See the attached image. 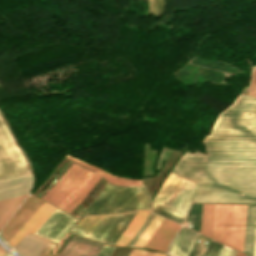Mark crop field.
<instances>
[{
    "label": "crop field",
    "instance_id": "8a807250",
    "mask_svg": "<svg viewBox=\"0 0 256 256\" xmlns=\"http://www.w3.org/2000/svg\"><path fill=\"white\" fill-rule=\"evenodd\" d=\"M151 202L141 187H120L107 183L94 201L77 217L84 214H115L136 209L150 211Z\"/></svg>",
    "mask_w": 256,
    "mask_h": 256
},
{
    "label": "crop field",
    "instance_id": "ac0d7876",
    "mask_svg": "<svg viewBox=\"0 0 256 256\" xmlns=\"http://www.w3.org/2000/svg\"><path fill=\"white\" fill-rule=\"evenodd\" d=\"M247 205L216 204L212 238L242 252Z\"/></svg>",
    "mask_w": 256,
    "mask_h": 256
},
{
    "label": "crop field",
    "instance_id": "34b2d1b8",
    "mask_svg": "<svg viewBox=\"0 0 256 256\" xmlns=\"http://www.w3.org/2000/svg\"><path fill=\"white\" fill-rule=\"evenodd\" d=\"M197 185L170 172L157 192L154 202L185 216Z\"/></svg>",
    "mask_w": 256,
    "mask_h": 256
},
{
    "label": "crop field",
    "instance_id": "412701ff",
    "mask_svg": "<svg viewBox=\"0 0 256 256\" xmlns=\"http://www.w3.org/2000/svg\"><path fill=\"white\" fill-rule=\"evenodd\" d=\"M29 174L25 161L0 117V181Z\"/></svg>",
    "mask_w": 256,
    "mask_h": 256
},
{
    "label": "crop field",
    "instance_id": "f4fd0767",
    "mask_svg": "<svg viewBox=\"0 0 256 256\" xmlns=\"http://www.w3.org/2000/svg\"><path fill=\"white\" fill-rule=\"evenodd\" d=\"M75 164L73 163L68 168V170L55 183V185L42 197V199L59 206L74 189H77L81 186V184L89 176L91 171L84 169L82 167H79L80 165L77 166L78 164L77 165ZM74 165L75 167L73 169L72 167ZM71 168L73 170L62 181V179L66 176V174L71 170Z\"/></svg>",
    "mask_w": 256,
    "mask_h": 256
},
{
    "label": "crop field",
    "instance_id": "dd49c442",
    "mask_svg": "<svg viewBox=\"0 0 256 256\" xmlns=\"http://www.w3.org/2000/svg\"><path fill=\"white\" fill-rule=\"evenodd\" d=\"M76 221L77 219L56 209L35 234L58 243Z\"/></svg>",
    "mask_w": 256,
    "mask_h": 256
},
{
    "label": "crop field",
    "instance_id": "e52e79f7",
    "mask_svg": "<svg viewBox=\"0 0 256 256\" xmlns=\"http://www.w3.org/2000/svg\"><path fill=\"white\" fill-rule=\"evenodd\" d=\"M44 201L31 195L24 201L16 213L11 217L1 230V234L8 242L30 216L39 208ZM1 235V236H2Z\"/></svg>",
    "mask_w": 256,
    "mask_h": 256
},
{
    "label": "crop field",
    "instance_id": "d8731c3e",
    "mask_svg": "<svg viewBox=\"0 0 256 256\" xmlns=\"http://www.w3.org/2000/svg\"><path fill=\"white\" fill-rule=\"evenodd\" d=\"M179 227V225L164 219L145 247L166 252L171 239Z\"/></svg>",
    "mask_w": 256,
    "mask_h": 256
},
{
    "label": "crop field",
    "instance_id": "5a996713",
    "mask_svg": "<svg viewBox=\"0 0 256 256\" xmlns=\"http://www.w3.org/2000/svg\"><path fill=\"white\" fill-rule=\"evenodd\" d=\"M32 187V174L0 182V200L27 194Z\"/></svg>",
    "mask_w": 256,
    "mask_h": 256
},
{
    "label": "crop field",
    "instance_id": "3316defc",
    "mask_svg": "<svg viewBox=\"0 0 256 256\" xmlns=\"http://www.w3.org/2000/svg\"><path fill=\"white\" fill-rule=\"evenodd\" d=\"M55 209L44 202L8 243L13 247L27 231L34 233Z\"/></svg>",
    "mask_w": 256,
    "mask_h": 256
},
{
    "label": "crop field",
    "instance_id": "28ad6ade",
    "mask_svg": "<svg viewBox=\"0 0 256 256\" xmlns=\"http://www.w3.org/2000/svg\"><path fill=\"white\" fill-rule=\"evenodd\" d=\"M197 236L198 233L183 227L173 240L169 252L175 256H188Z\"/></svg>",
    "mask_w": 256,
    "mask_h": 256
},
{
    "label": "crop field",
    "instance_id": "d1516ede",
    "mask_svg": "<svg viewBox=\"0 0 256 256\" xmlns=\"http://www.w3.org/2000/svg\"><path fill=\"white\" fill-rule=\"evenodd\" d=\"M121 216L122 215L106 216L89 235L85 234L75 226L73 227L71 232H74L86 238L103 242V240L106 238L110 230L113 228V226L116 224Z\"/></svg>",
    "mask_w": 256,
    "mask_h": 256
},
{
    "label": "crop field",
    "instance_id": "22f410ed",
    "mask_svg": "<svg viewBox=\"0 0 256 256\" xmlns=\"http://www.w3.org/2000/svg\"><path fill=\"white\" fill-rule=\"evenodd\" d=\"M46 242L47 240L28 233L16 246V250L24 256H39Z\"/></svg>",
    "mask_w": 256,
    "mask_h": 256
},
{
    "label": "crop field",
    "instance_id": "cbeb9de0",
    "mask_svg": "<svg viewBox=\"0 0 256 256\" xmlns=\"http://www.w3.org/2000/svg\"><path fill=\"white\" fill-rule=\"evenodd\" d=\"M148 215H149V212L139 211V213L136 215V217L133 219V221L130 223V225L127 227V229L124 231V233L118 239V241L115 243V245L126 246L127 243L134 236V234L141 227V225L143 224V222L145 221V219L147 218Z\"/></svg>",
    "mask_w": 256,
    "mask_h": 256
},
{
    "label": "crop field",
    "instance_id": "5142ce71",
    "mask_svg": "<svg viewBox=\"0 0 256 256\" xmlns=\"http://www.w3.org/2000/svg\"><path fill=\"white\" fill-rule=\"evenodd\" d=\"M27 195L0 201V228L4 225V223L13 214Z\"/></svg>",
    "mask_w": 256,
    "mask_h": 256
},
{
    "label": "crop field",
    "instance_id": "d9b57169",
    "mask_svg": "<svg viewBox=\"0 0 256 256\" xmlns=\"http://www.w3.org/2000/svg\"><path fill=\"white\" fill-rule=\"evenodd\" d=\"M138 213V211L125 214L122 216V218L117 222V224L114 226V228L111 230L107 238L104 240L105 243H109L114 245V243L117 241V239L120 237V235L123 233V231L126 229V227L129 225V223L132 221V219L135 217V215Z\"/></svg>",
    "mask_w": 256,
    "mask_h": 256
},
{
    "label": "crop field",
    "instance_id": "733c2abd",
    "mask_svg": "<svg viewBox=\"0 0 256 256\" xmlns=\"http://www.w3.org/2000/svg\"><path fill=\"white\" fill-rule=\"evenodd\" d=\"M100 178L99 175L94 173L80 191L62 209L70 212L86 196Z\"/></svg>",
    "mask_w": 256,
    "mask_h": 256
},
{
    "label": "crop field",
    "instance_id": "4a817a6b",
    "mask_svg": "<svg viewBox=\"0 0 256 256\" xmlns=\"http://www.w3.org/2000/svg\"><path fill=\"white\" fill-rule=\"evenodd\" d=\"M66 158L67 159H70L72 161H75L87 168H90L98 173H100L106 180L112 182V183H115V184H118V185H142V181L141 180H130V179H122L120 177H117V176H114V175H110L108 173H105L104 171H102L101 169L99 168H96L94 166H91V165H88L86 163H83L75 158H72V157H69L68 155H66Z\"/></svg>",
    "mask_w": 256,
    "mask_h": 256
},
{
    "label": "crop field",
    "instance_id": "bc2a9ffb",
    "mask_svg": "<svg viewBox=\"0 0 256 256\" xmlns=\"http://www.w3.org/2000/svg\"><path fill=\"white\" fill-rule=\"evenodd\" d=\"M215 204H203L201 233L210 237L214 217Z\"/></svg>",
    "mask_w": 256,
    "mask_h": 256
},
{
    "label": "crop field",
    "instance_id": "214f88e0",
    "mask_svg": "<svg viewBox=\"0 0 256 256\" xmlns=\"http://www.w3.org/2000/svg\"><path fill=\"white\" fill-rule=\"evenodd\" d=\"M163 221V218L155 216V218L152 220L150 225L147 227L143 235L140 237L138 242L135 244V246L138 247H144V245L147 243V241L150 239L152 234L155 232L157 227L160 225V223Z\"/></svg>",
    "mask_w": 256,
    "mask_h": 256
},
{
    "label": "crop field",
    "instance_id": "92a150f3",
    "mask_svg": "<svg viewBox=\"0 0 256 256\" xmlns=\"http://www.w3.org/2000/svg\"><path fill=\"white\" fill-rule=\"evenodd\" d=\"M105 216H85L75 226L90 232Z\"/></svg>",
    "mask_w": 256,
    "mask_h": 256
},
{
    "label": "crop field",
    "instance_id": "dafd665d",
    "mask_svg": "<svg viewBox=\"0 0 256 256\" xmlns=\"http://www.w3.org/2000/svg\"><path fill=\"white\" fill-rule=\"evenodd\" d=\"M152 212L156 213V214H159L163 217H166L168 219H171L175 222H178L180 224H182L183 222V219H184V216L180 215V214H177L171 210H168L164 207H161L157 204L154 203L153 205V208H152Z\"/></svg>",
    "mask_w": 256,
    "mask_h": 256
},
{
    "label": "crop field",
    "instance_id": "00972430",
    "mask_svg": "<svg viewBox=\"0 0 256 256\" xmlns=\"http://www.w3.org/2000/svg\"><path fill=\"white\" fill-rule=\"evenodd\" d=\"M222 248L223 245L212 240L204 256H219Z\"/></svg>",
    "mask_w": 256,
    "mask_h": 256
},
{
    "label": "crop field",
    "instance_id": "a9b5d70f",
    "mask_svg": "<svg viewBox=\"0 0 256 256\" xmlns=\"http://www.w3.org/2000/svg\"><path fill=\"white\" fill-rule=\"evenodd\" d=\"M155 215L151 214L148 216L142 227L139 229V231L135 234V236L132 238V240L128 243L127 246H133V244L136 242V240L139 238V236L142 234V232L145 230V228L148 226V224L151 222V220L154 218Z\"/></svg>",
    "mask_w": 256,
    "mask_h": 256
},
{
    "label": "crop field",
    "instance_id": "4177f3b9",
    "mask_svg": "<svg viewBox=\"0 0 256 256\" xmlns=\"http://www.w3.org/2000/svg\"><path fill=\"white\" fill-rule=\"evenodd\" d=\"M154 252H147L139 249H132L129 256H153Z\"/></svg>",
    "mask_w": 256,
    "mask_h": 256
},
{
    "label": "crop field",
    "instance_id": "730fd06b",
    "mask_svg": "<svg viewBox=\"0 0 256 256\" xmlns=\"http://www.w3.org/2000/svg\"><path fill=\"white\" fill-rule=\"evenodd\" d=\"M55 246H56L55 244L48 241L47 244L42 249V251H45V253L42 252V254L40 256H51V255H49V253L52 251V249Z\"/></svg>",
    "mask_w": 256,
    "mask_h": 256
},
{
    "label": "crop field",
    "instance_id": "eef30255",
    "mask_svg": "<svg viewBox=\"0 0 256 256\" xmlns=\"http://www.w3.org/2000/svg\"><path fill=\"white\" fill-rule=\"evenodd\" d=\"M114 247H110L105 245L104 248L100 251L97 256H110V254L114 251Z\"/></svg>",
    "mask_w": 256,
    "mask_h": 256
},
{
    "label": "crop field",
    "instance_id": "ae1a2a85",
    "mask_svg": "<svg viewBox=\"0 0 256 256\" xmlns=\"http://www.w3.org/2000/svg\"><path fill=\"white\" fill-rule=\"evenodd\" d=\"M229 251H230V248L224 246V248H223V250H222L220 256H227L228 253H229Z\"/></svg>",
    "mask_w": 256,
    "mask_h": 256
},
{
    "label": "crop field",
    "instance_id": "d3111659",
    "mask_svg": "<svg viewBox=\"0 0 256 256\" xmlns=\"http://www.w3.org/2000/svg\"><path fill=\"white\" fill-rule=\"evenodd\" d=\"M253 256H256V231H255V242H254V252Z\"/></svg>",
    "mask_w": 256,
    "mask_h": 256
},
{
    "label": "crop field",
    "instance_id": "750c4746",
    "mask_svg": "<svg viewBox=\"0 0 256 256\" xmlns=\"http://www.w3.org/2000/svg\"><path fill=\"white\" fill-rule=\"evenodd\" d=\"M235 254H236V251L231 250V252H230L229 256H235Z\"/></svg>",
    "mask_w": 256,
    "mask_h": 256
},
{
    "label": "crop field",
    "instance_id": "bd1437ed",
    "mask_svg": "<svg viewBox=\"0 0 256 256\" xmlns=\"http://www.w3.org/2000/svg\"><path fill=\"white\" fill-rule=\"evenodd\" d=\"M6 253L0 248V256H4Z\"/></svg>",
    "mask_w": 256,
    "mask_h": 256
},
{
    "label": "crop field",
    "instance_id": "1d83c4d3",
    "mask_svg": "<svg viewBox=\"0 0 256 256\" xmlns=\"http://www.w3.org/2000/svg\"><path fill=\"white\" fill-rule=\"evenodd\" d=\"M236 256H244V254L237 252Z\"/></svg>",
    "mask_w": 256,
    "mask_h": 256
},
{
    "label": "crop field",
    "instance_id": "120bbe31",
    "mask_svg": "<svg viewBox=\"0 0 256 256\" xmlns=\"http://www.w3.org/2000/svg\"><path fill=\"white\" fill-rule=\"evenodd\" d=\"M154 256H166V255H162V254L155 253Z\"/></svg>",
    "mask_w": 256,
    "mask_h": 256
},
{
    "label": "crop field",
    "instance_id": "d32e631a",
    "mask_svg": "<svg viewBox=\"0 0 256 256\" xmlns=\"http://www.w3.org/2000/svg\"><path fill=\"white\" fill-rule=\"evenodd\" d=\"M8 256H12V255H8Z\"/></svg>",
    "mask_w": 256,
    "mask_h": 256
},
{
    "label": "crop field",
    "instance_id": "5866460e",
    "mask_svg": "<svg viewBox=\"0 0 256 256\" xmlns=\"http://www.w3.org/2000/svg\"><path fill=\"white\" fill-rule=\"evenodd\" d=\"M246 256V255H245Z\"/></svg>",
    "mask_w": 256,
    "mask_h": 256
}]
</instances>
